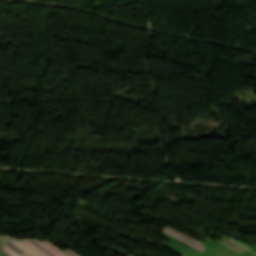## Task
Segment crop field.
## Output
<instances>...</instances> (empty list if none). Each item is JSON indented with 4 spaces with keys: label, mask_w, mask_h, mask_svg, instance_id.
Segmentation results:
<instances>
[{
    "label": "crop field",
    "mask_w": 256,
    "mask_h": 256,
    "mask_svg": "<svg viewBox=\"0 0 256 256\" xmlns=\"http://www.w3.org/2000/svg\"><path fill=\"white\" fill-rule=\"evenodd\" d=\"M24 245L30 247L39 256H67L57 247L53 246L49 242L38 240H19Z\"/></svg>",
    "instance_id": "1"
},
{
    "label": "crop field",
    "mask_w": 256,
    "mask_h": 256,
    "mask_svg": "<svg viewBox=\"0 0 256 256\" xmlns=\"http://www.w3.org/2000/svg\"><path fill=\"white\" fill-rule=\"evenodd\" d=\"M164 232L173 235L174 237L184 241L185 243H187V244H189V245H191V246H193V247H195V248H197L201 251L205 249L202 244H200V243H198V242H196V241H194V240H192V239H190V238H188V237H186V236H184V235H182V234H180V233H178V232H176V231H174L170 228H166L164 230Z\"/></svg>",
    "instance_id": "2"
},
{
    "label": "crop field",
    "mask_w": 256,
    "mask_h": 256,
    "mask_svg": "<svg viewBox=\"0 0 256 256\" xmlns=\"http://www.w3.org/2000/svg\"><path fill=\"white\" fill-rule=\"evenodd\" d=\"M4 238H6L7 240L11 241L12 243H14L15 245H17L18 247H20L23 251H25L28 255L30 256H38L37 254H35L33 251H31L28 247L22 245L20 242H18L17 240H15L14 238H12L11 236H4Z\"/></svg>",
    "instance_id": "3"
},
{
    "label": "crop field",
    "mask_w": 256,
    "mask_h": 256,
    "mask_svg": "<svg viewBox=\"0 0 256 256\" xmlns=\"http://www.w3.org/2000/svg\"><path fill=\"white\" fill-rule=\"evenodd\" d=\"M0 241H2L3 243H5L6 245H8L9 247H11L13 250H15L17 253H21V249L20 248H18V247H16V246H14V245H12V244H10L8 241H6L4 238H2V237H0Z\"/></svg>",
    "instance_id": "4"
},
{
    "label": "crop field",
    "mask_w": 256,
    "mask_h": 256,
    "mask_svg": "<svg viewBox=\"0 0 256 256\" xmlns=\"http://www.w3.org/2000/svg\"><path fill=\"white\" fill-rule=\"evenodd\" d=\"M5 251L8 252L11 256H20L17 253H15L14 251H12L9 247H7L5 245Z\"/></svg>",
    "instance_id": "5"
},
{
    "label": "crop field",
    "mask_w": 256,
    "mask_h": 256,
    "mask_svg": "<svg viewBox=\"0 0 256 256\" xmlns=\"http://www.w3.org/2000/svg\"><path fill=\"white\" fill-rule=\"evenodd\" d=\"M69 256H77L76 254H74L73 252L69 251L67 252Z\"/></svg>",
    "instance_id": "6"
},
{
    "label": "crop field",
    "mask_w": 256,
    "mask_h": 256,
    "mask_svg": "<svg viewBox=\"0 0 256 256\" xmlns=\"http://www.w3.org/2000/svg\"><path fill=\"white\" fill-rule=\"evenodd\" d=\"M22 256H28L25 252H23L22 254H20Z\"/></svg>",
    "instance_id": "7"
},
{
    "label": "crop field",
    "mask_w": 256,
    "mask_h": 256,
    "mask_svg": "<svg viewBox=\"0 0 256 256\" xmlns=\"http://www.w3.org/2000/svg\"><path fill=\"white\" fill-rule=\"evenodd\" d=\"M9 255V254H8ZM10 256V255H9Z\"/></svg>",
    "instance_id": "8"
}]
</instances>
